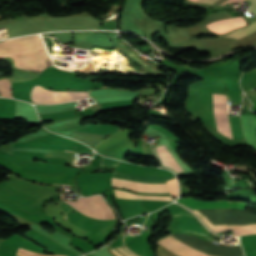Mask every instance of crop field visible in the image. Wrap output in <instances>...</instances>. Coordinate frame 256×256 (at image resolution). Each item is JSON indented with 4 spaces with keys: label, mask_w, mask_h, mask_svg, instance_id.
Listing matches in <instances>:
<instances>
[{
    "label": "crop field",
    "mask_w": 256,
    "mask_h": 256,
    "mask_svg": "<svg viewBox=\"0 0 256 256\" xmlns=\"http://www.w3.org/2000/svg\"><path fill=\"white\" fill-rule=\"evenodd\" d=\"M113 175L135 179L141 181H151V182H166L165 179H170L174 176L169 177H160V178H151V177H137L128 174L115 172ZM122 179L118 177H112V185L116 187H124L129 188L133 191H152V192H168L166 183H151V182H141ZM114 194L118 198H130L137 200H153V201H171L173 200L171 197H162V196H146V195H136L128 192H124L121 190H114Z\"/></svg>",
    "instance_id": "8a807250"
},
{
    "label": "crop field",
    "mask_w": 256,
    "mask_h": 256,
    "mask_svg": "<svg viewBox=\"0 0 256 256\" xmlns=\"http://www.w3.org/2000/svg\"><path fill=\"white\" fill-rule=\"evenodd\" d=\"M181 205L193 210H244L245 204L227 201L203 202L190 198H179L177 200ZM195 213V212H194ZM195 215L207 226V224L195 213ZM208 227V226H207ZM208 229L212 231L209 227ZM213 232V231H212Z\"/></svg>",
    "instance_id": "412701ff"
},
{
    "label": "crop field",
    "mask_w": 256,
    "mask_h": 256,
    "mask_svg": "<svg viewBox=\"0 0 256 256\" xmlns=\"http://www.w3.org/2000/svg\"><path fill=\"white\" fill-rule=\"evenodd\" d=\"M119 163H120V161H116V160H112V159H108V158H104V157H102L99 160L100 166H104V167L116 168Z\"/></svg>",
    "instance_id": "28ad6ade"
},
{
    "label": "crop field",
    "mask_w": 256,
    "mask_h": 256,
    "mask_svg": "<svg viewBox=\"0 0 256 256\" xmlns=\"http://www.w3.org/2000/svg\"><path fill=\"white\" fill-rule=\"evenodd\" d=\"M246 142L256 150V117L241 116Z\"/></svg>",
    "instance_id": "e52e79f7"
},
{
    "label": "crop field",
    "mask_w": 256,
    "mask_h": 256,
    "mask_svg": "<svg viewBox=\"0 0 256 256\" xmlns=\"http://www.w3.org/2000/svg\"><path fill=\"white\" fill-rule=\"evenodd\" d=\"M191 1L210 4L215 0H191ZM241 1L242 0H231L230 2H241ZM248 1L252 2L250 10L256 14V0H248ZM230 2H228L227 4H229Z\"/></svg>",
    "instance_id": "d1516ede"
},
{
    "label": "crop field",
    "mask_w": 256,
    "mask_h": 256,
    "mask_svg": "<svg viewBox=\"0 0 256 256\" xmlns=\"http://www.w3.org/2000/svg\"><path fill=\"white\" fill-rule=\"evenodd\" d=\"M255 30H256V22H254V23L248 25V26H247L246 28H244V29L237 30L236 32L231 33V34H229V35H227V36L235 37V38H240V37H243V36H245V35H247V34L253 32V31H255Z\"/></svg>",
    "instance_id": "3316defc"
},
{
    "label": "crop field",
    "mask_w": 256,
    "mask_h": 256,
    "mask_svg": "<svg viewBox=\"0 0 256 256\" xmlns=\"http://www.w3.org/2000/svg\"><path fill=\"white\" fill-rule=\"evenodd\" d=\"M167 185H168V188H169V191H170L171 195L172 196H177L178 187H177L176 178L168 180Z\"/></svg>",
    "instance_id": "22f410ed"
},
{
    "label": "crop field",
    "mask_w": 256,
    "mask_h": 256,
    "mask_svg": "<svg viewBox=\"0 0 256 256\" xmlns=\"http://www.w3.org/2000/svg\"><path fill=\"white\" fill-rule=\"evenodd\" d=\"M119 129H121V128L112 126V125L96 124V125L80 126V127L76 128L74 131L110 135L111 133H113Z\"/></svg>",
    "instance_id": "5a996713"
},
{
    "label": "crop field",
    "mask_w": 256,
    "mask_h": 256,
    "mask_svg": "<svg viewBox=\"0 0 256 256\" xmlns=\"http://www.w3.org/2000/svg\"><path fill=\"white\" fill-rule=\"evenodd\" d=\"M96 101V100H95Z\"/></svg>",
    "instance_id": "cbeb9de0"
},
{
    "label": "crop field",
    "mask_w": 256,
    "mask_h": 256,
    "mask_svg": "<svg viewBox=\"0 0 256 256\" xmlns=\"http://www.w3.org/2000/svg\"><path fill=\"white\" fill-rule=\"evenodd\" d=\"M58 205L63 209L64 213L69 215L65 218L67 221L90 231L99 232L106 228L108 225L113 223L114 220H98L94 218L87 217L76 209L68 205L66 202L62 201ZM66 217V215H65Z\"/></svg>",
    "instance_id": "34b2d1b8"
},
{
    "label": "crop field",
    "mask_w": 256,
    "mask_h": 256,
    "mask_svg": "<svg viewBox=\"0 0 256 256\" xmlns=\"http://www.w3.org/2000/svg\"><path fill=\"white\" fill-rule=\"evenodd\" d=\"M0 165L11 169L13 172L37 182H44V183H69L74 184V177L69 176H61L55 174H43L34 170H30L24 167H21L17 164H14L8 160H5L0 157Z\"/></svg>",
    "instance_id": "ac0d7876"
},
{
    "label": "crop field",
    "mask_w": 256,
    "mask_h": 256,
    "mask_svg": "<svg viewBox=\"0 0 256 256\" xmlns=\"http://www.w3.org/2000/svg\"><path fill=\"white\" fill-rule=\"evenodd\" d=\"M155 150L164 167L173 170L182 168L178 161L173 157L166 144L155 146Z\"/></svg>",
    "instance_id": "d8731c3e"
},
{
    "label": "crop field",
    "mask_w": 256,
    "mask_h": 256,
    "mask_svg": "<svg viewBox=\"0 0 256 256\" xmlns=\"http://www.w3.org/2000/svg\"><path fill=\"white\" fill-rule=\"evenodd\" d=\"M159 243L179 256H216L195 248L171 235L164 237Z\"/></svg>",
    "instance_id": "f4fd0767"
},
{
    "label": "crop field",
    "mask_w": 256,
    "mask_h": 256,
    "mask_svg": "<svg viewBox=\"0 0 256 256\" xmlns=\"http://www.w3.org/2000/svg\"><path fill=\"white\" fill-rule=\"evenodd\" d=\"M168 210L174 214V222L183 232L206 235L195 219L181 207L172 204Z\"/></svg>",
    "instance_id": "dd49c442"
}]
</instances>
